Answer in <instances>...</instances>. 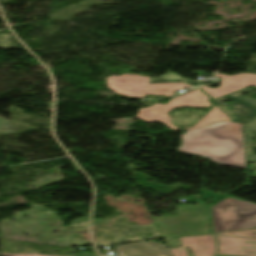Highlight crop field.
<instances>
[{"label": "crop field", "instance_id": "obj_4", "mask_svg": "<svg viewBox=\"0 0 256 256\" xmlns=\"http://www.w3.org/2000/svg\"><path fill=\"white\" fill-rule=\"evenodd\" d=\"M106 80L109 88L114 92L136 98H142L147 94L173 96L176 90L192 87L186 83L150 84V77L132 74L110 76Z\"/></svg>", "mask_w": 256, "mask_h": 256}, {"label": "crop field", "instance_id": "obj_13", "mask_svg": "<svg viewBox=\"0 0 256 256\" xmlns=\"http://www.w3.org/2000/svg\"><path fill=\"white\" fill-rule=\"evenodd\" d=\"M169 82H186V83H198L201 84L200 82L192 81L185 79L181 76L175 75L173 72H170L163 77L159 79H152L150 80V83H169Z\"/></svg>", "mask_w": 256, "mask_h": 256}, {"label": "crop field", "instance_id": "obj_8", "mask_svg": "<svg viewBox=\"0 0 256 256\" xmlns=\"http://www.w3.org/2000/svg\"><path fill=\"white\" fill-rule=\"evenodd\" d=\"M182 245L171 249L172 256H187L183 247H191L194 256H212L214 239L211 235L180 238Z\"/></svg>", "mask_w": 256, "mask_h": 256}, {"label": "crop field", "instance_id": "obj_12", "mask_svg": "<svg viewBox=\"0 0 256 256\" xmlns=\"http://www.w3.org/2000/svg\"><path fill=\"white\" fill-rule=\"evenodd\" d=\"M221 120L231 121L225 112H223L221 109H219L218 107L215 106L205 117H203L202 120H200L192 128H189L187 130L200 128L202 126L209 125L213 122L221 121Z\"/></svg>", "mask_w": 256, "mask_h": 256}, {"label": "crop field", "instance_id": "obj_10", "mask_svg": "<svg viewBox=\"0 0 256 256\" xmlns=\"http://www.w3.org/2000/svg\"><path fill=\"white\" fill-rule=\"evenodd\" d=\"M116 248L121 256H171L166 246L157 242L131 243Z\"/></svg>", "mask_w": 256, "mask_h": 256}, {"label": "crop field", "instance_id": "obj_9", "mask_svg": "<svg viewBox=\"0 0 256 256\" xmlns=\"http://www.w3.org/2000/svg\"><path fill=\"white\" fill-rule=\"evenodd\" d=\"M225 99H229L233 102L227 106L221 105L220 102ZM212 102H214L219 108L225 111L234 122L244 124L252 119L254 116H256L255 107L227 96L213 100Z\"/></svg>", "mask_w": 256, "mask_h": 256}, {"label": "crop field", "instance_id": "obj_7", "mask_svg": "<svg viewBox=\"0 0 256 256\" xmlns=\"http://www.w3.org/2000/svg\"><path fill=\"white\" fill-rule=\"evenodd\" d=\"M218 254L256 256V239L218 236Z\"/></svg>", "mask_w": 256, "mask_h": 256}, {"label": "crop field", "instance_id": "obj_3", "mask_svg": "<svg viewBox=\"0 0 256 256\" xmlns=\"http://www.w3.org/2000/svg\"><path fill=\"white\" fill-rule=\"evenodd\" d=\"M212 208L214 233L256 228V204L226 198Z\"/></svg>", "mask_w": 256, "mask_h": 256}, {"label": "crop field", "instance_id": "obj_2", "mask_svg": "<svg viewBox=\"0 0 256 256\" xmlns=\"http://www.w3.org/2000/svg\"><path fill=\"white\" fill-rule=\"evenodd\" d=\"M180 210L185 212H179ZM177 214L180 217L154 218L163 238L211 234L207 205L178 206Z\"/></svg>", "mask_w": 256, "mask_h": 256}, {"label": "crop field", "instance_id": "obj_15", "mask_svg": "<svg viewBox=\"0 0 256 256\" xmlns=\"http://www.w3.org/2000/svg\"><path fill=\"white\" fill-rule=\"evenodd\" d=\"M224 197H226V196H222V195H219V194L212 193V192H209V191H205V190H204V199H206V198H212V199H214V200H213V203L216 202V201H218V200H220V199H222V198H224Z\"/></svg>", "mask_w": 256, "mask_h": 256}, {"label": "crop field", "instance_id": "obj_5", "mask_svg": "<svg viewBox=\"0 0 256 256\" xmlns=\"http://www.w3.org/2000/svg\"><path fill=\"white\" fill-rule=\"evenodd\" d=\"M199 90L195 89L177 98L171 99L170 103L165 105L158 103L152 107L139 109V112L136 118L142 119L145 122L160 121L168 125L170 130H174V131L181 130L171 124V120L169 119L167 114L173 108H178V107L197 108V107L212 106L208 101L209 97H207L205 94H203Z\"/></svg>", "mask_w": 256, "mask_h": 256}, {"label": "crop field", "instance_id": "obj_6", "mask_svg": "<svg viewBox=\"0 0 256 256\" xmlns=\"http://www.w3.org/2000/svg\"><path fill=\"white\" fill-rule=\"evenodd\" d=\"M214 77L222 78L220 87L209 88L202 85L200 87L203 90H205L210 96H212L214 99L242 88H246L249 86H256V74L241 73L235 76H226V75L217 73Z\"/></svg>", "mask_w": 256, "mask_h": 256}, {"label": "crop field", "instance_id": "obj_17", "mask_svg": "<svg viewBox=\"0 0 256 256\" xmlns=\"http://www.w3.org/2000/svg\"><path fill=\"white\" fill-rule=\"evenodd\" d=\"M216 256H223V255H216Z\"/></svg>", "mask_w": 256, "mask_h": 256}, {"label": "crop field", "instance_id": "obj_11", "mask_svg": "<svg viewBox=\"0 0 256 256\" xmlns=\"http://www.w3.org/2000/svg\"><path fill=\"white\" fill-rule=\"evenodd\" d=\"M247 91H251V90L242 89V90L236 91L234 93L228 94V96L240 98V99L256 106L255 99H248V98L241 96L242 93L247 92ZM251 131H256V118L253 119L251 122H249L247 125L243 126V134H244V140H245V146H246L247 162H256V155H253Z\"/></svg>", "mask_w": 256, "mask_h": 256}, {"label": "crop field", "instance_id": "obj_1", "mask_svg": "<svg viewBox=\"0 0 256 256\" xmlns=\"http://www.w3.org/2000/svg\"><path fill=\"white\" fill-rule=\"evenodd\" d=\"M241 126L222 121L187 131L178 151L207 157L215 163L246 169Z\"/></svg>", "mask_w": 256, "mask_h": 256}, {"label": "crop field", "instance_id": "obj_14", "mask_svg": "<svg viewBox=\"0 0 256 256\" xmlns=\"http://www.w3.org/2000/svg\"><path fill=\"white\" fill-rule=\"evenodd\" d=\"M217 235L256 238V229L226 232Z\"/></svg>", "mask_w": 256, "mask_h": 256}, {"label": "crop field", "instance_id": "obj_16", "mask_svg": "<svg viewBox=\"0 0 256 256\" xmlns=\"http://www.w3.org/2000/svg\"><path fill=\"white\" fill-rule=\"evenodd\" d=\"M1 256H51V255H46V254H7V253H0Z\"/></svg>", "mask_w": 256, "mask_h": 256}]
</instances>
